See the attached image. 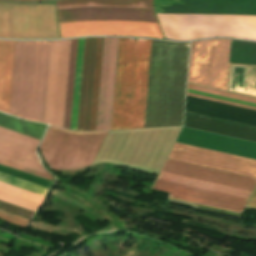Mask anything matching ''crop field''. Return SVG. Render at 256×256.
<instances>
[{
  "instance_id": "8a807250",
  "label": "crop field",
  "mask_w": 256,
  "mask_h": 256,
  "mask_svg": "<svg viewBox=\"0 0 256 256\" xmlns=\"http://www.w3.org/2000/svg\"><path fill=\"white\" fill-rule=\"evenodd\" d=\"M256 178L168 158L152 189L242 213Z\"/></svg>"
},
{
  "instance_id": "ac0d7876",
  "label": "crop field",
  "mask_w": 256,
  "mask_h": 256,
  "mask_svg": "<svg viewBox=\"0 0 256 256\" xmlns=\"http://www.w3.org/2000/svg\"><path fill=\"white\" fill-rule=\"evenodd\" d=\"M57 9L89 6H125L153 8V0H65ZM90 7L57 10L59 22L78 20H126L157 22L153 9ZM79 21L60 23L61 38L85 35H134L163 38L159 25L149 22Z\"/></svg>"
},
{
  "instance_id": "34b2d1b8",
  "label": "crop field",
  "mask_w": 256,
  "mask_h": 256,
  "mask_svg": "<svg viewBox=\"0 0 256 256\" xmlns=\"http://www.w3.org/2000/svg\"><path fill=\"white\" fill-rule=\"evenodd\" d=\"M151 45L120 38L111 130L143 128Z\"/></svg>"
},
{
  "instance_id": "412701ff",
  "label": "crop field",
  "mask_w": 256,
  "mask_h": 256,
  "mask_svg": "<svg viewBox=\"0 0 256 256\" xmlns=\"http://www.w3.org/2000/svg\"><path fill=\"white\" fill-rule=\"evenodd\" d=\"M50 41H16L9 114L42 123Z\"/></svg>"
},
{
  "instance_id": "f4fd0767",
  "label": "crop field",
  "mask_w": 256,
  "mask_h": 256,
  "mask_svg": "<svg viewBox=\"0 0 256 256\" xmlns=\"http://www.w3.org/2000/svg\"><path fill=\"white\" fill-rule=\"evenodd\" d=\"M166 38L192 40L225 36L256 40V17L157 14Z\"/></svg>"
},
{
  "instance_id": "dd49c442",
  "label": "crop field",
  "mask_w": 256,
  "mask_h": 256,
  "mask_svg": "<svg viewBox=\"0 0 256 256\" xmlns=\"http://www.w3.org/2000/svg\"><path fill=\"white\" fill-rule=\"evenodd\" d=\"M107 132H75L50 126L40 150L51 169L85 170L91 166Z\"/></svg>"
},
{
  "instance_id": "e52e79f7",
  "label": "crop field",
  "mask_w": 256,
  "mask_h": 256,
  "mask_svg": "<svg viewBox=\"0 0 256 256\" xmlns=\"http://www.w3.org/2000/svg\"><path fill=\"white\" fill-rule=\"evenodd\" d=\"M0 38H59L54 4L0 3Z\"/></svg>"
},
{
  "instance_id": "d8731c3e",
  "label": "crop field",
  "mask_w": 256,
  "mask_h": 256,
  "mask_svg": "<svg viewBox=\"0 0 256 256\" xmlns=\"http://www.w3.org/2000/svg\"><path fill=\"white\" fill-rule=\"evenodd\" d=\"M228 39L191 43L188 82L225 90Z\"/></svg>"
},
{
  "instance_id": "5a996713",
  "label": "crop field",
  "mask_w": 256,
  "mask_h": 256,
  "mask_svg": "<svg viewBox=\"0 0 256 256\" xmlns=\"http://www.w3.org/2000/svg\"><path fill=\"white\" fill-rule=\"evenodd\" d=\"M70 40L51 41L43 123L62 127Z\"/></svg>"
},
{
  "instance_id": "3316defc",
  "label": "crop field",
  "mask_w": 256,
  "mask_h": 256,
  "mask_svg": "<svg viewBox=\"0 0 256 256\" xmlns=\"http://www.w3.org/2000/svg\"><path fill=\"white\" fill-rule=\"evenodd\" d=\"M170 158L256 177V160L175 143Z\"/></svg>"
},
{
  "instance_id": "28ad6ade",
  "label": "crop field",
  "mask_w": 256,
  "mask_h": 256,
  "mask_svg": "<svg viewBox=\"0 0 256 256\" xmlns=\"http://www.w3.org/2000/svg\"><path fill=\"white\" fill-rule=\"evenodd\" d=\"M96 42L97 38H85L77 131H88Z\"/></svg>"
},
{
  "instance_id": "d1516ede",
  "label": "crop field",
  "mask_w": 256,
  "mask_h": 256,
  "mask_svg": "<svg viewBox=\"0 0 256 256\" xmlns=\"http://www.w3.org/2000/svg\"><path fill=\"white\" fill-rule=\"evenodd\" d=\"M38 143L39 140L0 127V153L2 154L41 166L34 152Z\"/></svg>"
},
{
  "instance_id": "22f410ed",
  "label": "crop field",
  "mask_w": 256,
  "mask_h": 256,
  "mask_svg": "<svg viewBox=\"0 0 256 256\" xmlns=\"http://www.w3.org/2000/svg\"><path fill=\"white\" fill-rule=\"evenodd\" d=\"M15 41H0V111L8 114Z\"/></svg>"
},
{
  "instance_id": "cbeb9de0",
  "label": "crop field",
  "mask_w": 256,
  "mask_h": 256,
  "mask_svg": "<svg viewBox=\"0 0 256 256\" xmlns=\"http://www.w3.org/2000/svg\"><path fill=\"white\" fill-rule=\"evenodd\" d=\"M119 38H110L102 130H110Z\"/></svg>"
},
{
  "instance_id": "5142ce71",
  "label": "crop field",
  "mask_w": 256,
  "mask_h": 256,
  "mask_svg": "<svg viewBox=\"0 0 256 256\" xmlns=\"http://www.w3.org/2000/svg\"><path fill=\"white\" fill-rule=\"evenodd\" d=\"M0 199L35 211L44 197L0 182Z\"/></svg>"
},
{
  "instance_id": "d9b57169",
  "label": "crop field",
  "mask_w": 256,
  "mask_h": 256,
  "mask_svg": "<svg viewBox=\"0 0 256 256\" xmlns=\"http://www.w3.org/2000/svg\"><path fill=\"white\" fill-rule=\"evenodd\" d=\"M187 88L194 89V90H199V91H203V92H208V93H212V94H217V95H221V96H225V97H230V98H234V99H239V100H243V101H248V102H252V103H256V99H254V98L245 97V96H241V95H236V94H232V93H227V92H223V91H218V90H214V89L204 88V87L195 86V85H191V84H187ZM190 89H188V92H190V93L204 95V96H208V97L218 98V99H222V100L232 101V102L246 104V105L256 107V104L243 102V101H239V100H234V99H230V98H225V97L212 95V94H208V93H203V92H199V91H194V90H190ZM190 93H187L186 95L256 110L255 107H250V106H246V105H241V104L222 101V100H218V99L208 98V97H204V96L194 95V94H190Z\"/></svg>"
},
{
  "instance_id": "733c2abd",
  "label": "crop field",
  "mask_w": 256,
  "mask_h": 256,
  "mask_svg": "<svg viewBox=\"0 0 256 256\" xmlns=\"http://www.w3.org/2000/svg\"><path fill=\"white\" fill-rule=\"evenodd\" d=\"M77 43H78V39H74V40H71V45H70V56H69L64 122H63V127L68 129L70 125Z\"/></svg>"
},
{
  "instance_id": "4a817a6b",
  "label": "crop field",
  "mask_w": 256,
  "mask_h": 256,
  "mask_svg": "<svg viewBox=\"0 0 256 256\" xmlns=\"http://www.w3.org/2000/svg\"><path fill=\"white\" fill-rule=\"evenodd\" d=\"M102 43H103V38H98L97 51H96V61H95V70H94V79H93V90H92V102H91V114H90L89 131L95 130V124H96V112H97V101H98V89H99V78H100Z\"/></svg>"
},
{
  "instance_id": "bc2a9ffb",
  "label": "crop field",
  "mask_w": 256,
  "mask_h": 256,
  "mask_svg": "<svg viewBox=\"0 0 256 256\" xmlns=\"http://www.w3.org/2000/svg\"><path fill=\"white\" fill-rule=\"evenodd\" d=\"M83 44H84V38L79 39L71 125H70V129H73V130H76V126H77L80 85H81L82 58H83Z\"/></svg>"
},
{
  "instance_id": "214f88e0",
  "label": "crop field",
  "mask_w": 256,
  "mask_h": 256,
  "mask_svg": "<svg viewBox=\"0 0 256 256\" xmlns=\"http://www.w3.org/2000/svg\"><path fill=\"white\" fill-rule=\"evenodd\" d=\"M109 38H104L96 130H101Z\"/></svg>"
},
{
  "instance_id": "92a150f3",
  "label": "crop field",
  "mask_w": 256,
  "mask_h": 256,
  "mask_svg": "<svg viewBox=\"0 0 256 256\" xmlns=\"http://www.w3.org/2000/svg\"><path fill=\"white\" fill-rule=\"evenodd\" d=\"M0 165L49 181L54 180L52 174L0 157Z\"/></svg>"
},
{
  "instance_id": "dafd665d",
  "label": "crop field",
  "mask_w": 256,
  "mask_h": 256,
  "mask_svg": "<svg viewBox=\"0 0 256 256\" xmlns=\"http://www.w3.org/2000/svg\"><path fill=\"white\" fill-rule=\"evenodd\" d=\"M0 218L6 220L8 222L24 226V227L28 223V220H25V219H22V218H19V217L7 214V213H5V212H3L1 210H0Z\"/></svg>"
},
{
  "instance_id": "00972430",
  "label": "crop field",
  "mask_w": 256,
  "mask_h": 256,
  "mask_svg": "<svg viewBox=\"0 0 256 256\" xmlns=\"http://www.w3.org/2000/svg\"><path fill=\"white\" fill-rule=\"evenodd\" d=\"M247 207L256 209V189H255Z\"/></svg>"
},
{
  "instance_id": "a9b5d70f",
  "label": "crop field",
  "mask_w": 256,
  "mask_h": 256,
  "mask_svg": "<svg viewBox=\"0 0 256 256\" xmlns=\"http://www.w3.org/2000/svg\"><path fill=\"white\" fill-rule=\"evenodd\" d=\"M55 254V253H54ZM53 255V254H52ZM52 255H50V256H52Z\"/></svg>"
}]
</instances>
